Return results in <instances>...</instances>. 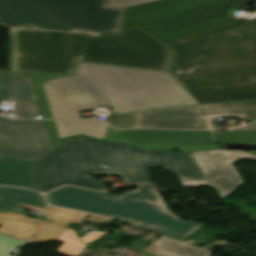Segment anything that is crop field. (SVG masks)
Listing matches in <instances>:
<instances>
[{"label": "crop field", "mask_w": 256, "mask_h": 256, "mask_svg": "<svg viewBox=\"0 0 256 256\" xmlns=\"http://www.w3.org/2000/svg\"><path fill=\"white\" fill-rule=\"evenodd\" d=\"M108 0H0L9 29V72L31 78L33 88L73 75L79 60L169 71L173 52L134 27L120 30L125 8Z\"/></svg>", "instance_id": "8a807250"}, {"label": "crop field", "mask_w": 256, "mask_h": 256, "mask_svg": "<svg viewBox=\"0 0 256 256\" xmlns=\"http://www.w3.org/2000/svg\"><path fill=\"white\" fill-rule=\"evenodd\" d=\"M256 0H162L128 7L139 26L175 53L171 74L199 104L256 99V18L230 9Z\"/></svg>", "instance_id": "ac0d7876"}, {"label": "crop field", "mask_w": 256, "mask_h": 256, "mask_svg": "<svg viewBox=\"0 0 256 256\" xmlns=\"http://www.w3.org/2000/svg\"><path fill=\"white\" fill-rule=\"evenodd\" d=\"M54 118L110 104L116 114L198 104L166 72L81 62L76 75L43 84Z\"/></svg>", "instance_id": "34b2d1b8"}, {"label": "crop field", "mask_w": 256, "mask_h": 256, "mask_svg": "<svg viewBox=\"0 0 256 256\" xmlns=\"http://www.w3.org/2000/svg\"><path fill=\"white\" fill-rule=\"evenodd\" d=\"M107 165L109 170L101 166ZM163 165L177 173L185 187L207 185L190 153L137 149L129 144L109 143L85 136L66 139L60 149L40 162L42 192L69 184L105 191L86 174L109 173L125 179L124 184L149 182L146 167Z\"/></svg>", "instance_id": "412701ff"}, {"label": "crop field", "mask_w": 256, "mask_h": 256, "mask_svg": "<svg viewBox=\"0 0 256 256\" xmlns=\"http://www.w3.org/2000/svg\"><path fill=\"white\" fill-rule=\"evenodd\" d=\"M136 192L121 196L64 186L49 194L50 204L124 218L142 229L183 241L201 224L181 220L167 210L152 184H140Z\"/></svg>", "instance_id": "f4fd0767"}, {"label": "crop field", "mask_w": 256, "mask_h": 256, "mask_svg": "<svg viewBox=\"0 0 256 256\" xmlns=\"http://www.w3.org/2000/svg\"><path fill=\"white\" fill-rule=\"evenodd\" d=\"M134 128L213 129L211 118L236 116L256 120V101L198 105L135 113Z\"/></svg>", "instance_id": "dd49c442"}, {"label": "crop field", "mask_w": 256, "mask_h": 256, "mask_svg": "<svg viewBox=\"0 0 256 256\" xmlns=\"http://www.w3.org/2000/svg\"><path fill=\"white\" fill-rule=\"evenodd\" d=\"M52 150L44 121L0 116V158L34 161L45 158Z\"/></svg>", "instance_id": "e52e79f7"}, {"label": "crop field", "mask_w": 256, "mask_h": 256, "mask_svg": "<svg viewBox=\"0 0 256 256\" xmlns=\"http://www.w3.org/2000/svg\"><path fill=\"white\" fill-rule=\"evenodd\" d=\"M107 141L129 142L138 147L178 149L182 152L220 147L212 140L210 131L124 130L107 136Z\"/></svg>", "instance_id": "d8731c3e"}, {"label": "crop field", "mask_w": 256, "mask_h": 256, "mask_svg": "<svg viewBox=\"0 0 256 256\" xmlns=\"http://www.w3.org/2000/svg\"><path fill=\"white\" fill-rule=\"evenodd\" d=\"M191 155L208 185L219 193L220 198L228 195L242 183L231 162L240 159H256L247 153L223 150L198 151L191 153Z\"/></svg>", "instance_id": "5a996713"}, {"label": "crop field", "mask_w": 256, "mask_h": 256, "mask_svg": "<svg viewBox=\"0 0 256 256\" xmlns=\"http://www.w3.org/2000/svg\"><path fill=\"white\" fill-rule=\"evenodd\" d=\"M0 184L27 187L41 192L39 162L0 160Z\"/></svg>", "instance_id": "3316defc"}, {"label": "crop field", "mask_w": 256, "mask_h": 256, "mask_svg": "<svg viewBox=\"0 0 256 256\" xmlns=\"http://www.w3.org/2000/svg\"><path fill=\"white\" fill-rule=\"evenodd\" d=\"M0 224V234L30 243L48 222L29 219L19 214L4 213L0 214Z\"/></svg>", "instance_id": "28ad6ade"}, {"label": "crop field", "mask_w": 256, "mask_h": 256, "mask_svg": "<svg viewBox=\"0 0 256 256\" xmlns=\"http://www.w3.org/2000/svg\"><path fill=\"white\" fill-rule=\"evenodd\" d=\"M46 203L41 194L12 187H0V212L21 213L24 208L42 211Z\"/></svg>", "instance_id": "d1516ede"}, {"label": "crop field", "mask_w": 256, "mask_h": 256, "mask_svg": "<svg viewBox=\"0 0 256 256\" xmlns=\"http://www.w3.org/2000/svg\"><path fill=\"white\" fill-rule=\"evenodd\" d=\"M60 140L63 137L84 134L105 138L108 126L102 120H54Z\"/></svg>", "instance_id": "22f410ed"}, {"label": "crop field", "mask_w": 256, "mask_h": 256, "mask_svg": "<svg viewBox=\"0 0 256 256\" xmlns=\"http://www.w3.org/2000/svg\"><path fill=\"white\" fill-rule=\"evenodd\" d=\"M0 99L37 100L30 79L0 71Z\"/></svg>", "instance_id": "cbeb9de0"}, {"label": "crop field", "mask_w": 256, "mask_h": 256, "mask_svg": "<svg viewBox=\"0 0 256 256\" xmlns=\"http://www.w3.org/2000/svg\"><path fill=\"white\" fill-rule=\"evenodd\" d=\"M157 250L170 256H210V251L186 243L160 237L156 241Z\"/></svg>", "instance_id": "5142ce71"}, {"label": "crop field", "mask_w": 256, "mask_h": 256, "mask_svg": "<svg viewBox=\"0 0 256 256\" xmlns=\"http://www.w3.org/2000/svg\"><path fill=\"white\" fill-rule=\"evenodd\" d=\"M215 140L222 143H248L256 144V131H236L220 134L219 131H213Z\"/></svg>", "instance_id": "d9b57169"}, {"label": "crop field", "mask_w": 256, "mask_h": 256, "mask_svg": "<svg viewBox=\"0 0 256 256\" xmlns=\"http://www.w3.org/2000/svg\"><path fill=\"white\" fill-rule=\"evenodd\" d=\"M58 240L64 241L65 243L56 252L69 256H76L86 246L69 227L66 228Z\"/></svg>", "instance_id": "733c2abd"}, {"label": "crop field", "mask_w": 256, "mask_h": 256, "mask_svg": "<svg viewBox=\"0 0 256 256\" xmlns=\"http://www.w3.org/2000/svg\"><path fill=\"white\" fill-rule=\"evenodd\" d=\"M16 106V118H30L34 115L41 114L37 101H18Z\"/></svg>", "instance_id": "4a817a6b"}, {"label": "crop field", "mask_w": 256, "mask_h": 256, "mask_svg": "<svg viewBox=\"0 0 256 256\" xmlns=\"http://www.w3.org/2000/svg\"><path fill=\"white\" fill-rule=\"evenodd\" d=\"M44 213L48 214L52 221L70 224L78 212L49 206Z\"/></svg>", "instance_id": "bc2a9ffb"}, {"label": "crop field", "mask_w": 256, "mask_h": 256, "mask_svg": "<svg viewBox=\"0 0 256 256\" xmlns=\"http://www.w3.org/2000/svg\"><path fill=\"white\" fill-rule=\"evenodd\" d=\"M67 226L68 225L51 222L50 227L46 229L35 242L57 240Z\"/></svg>", "instance_id": "214f88e0"}, {"label": "crop field", "mask_w": 256, "mask_h": 256, "mask_svg": "<svg viewBox=\"0 0 256 256\" xmlns=\"http://www.w3.org/2000/svg\"><path fill=\"white\" fill-rule=\"evenodd\" d=\"M28 243L0 235V256H8V254L16 247H22Z\"/></svg>", "instance_id": "92a150f3"}, {"label": "crop field", "mask_w": 256, "mask_h": 256, "mask_svg": "<svg viewBox=\"0 0 256 256\" xmlns=\"http://www.w3.org/2000/svg\"><path fill=\"white\" fill-rule=\"evenodd\" d=\"M133 113L116 115L111 112L109 124L116 128L132 127Z\"/></svg>", "instance_id": "dafd665d"}, {"label": "crop field", "mask_w": 256, "mask_h": 256, "mask_svg": "<svg viewBox=\"0 0 256 256\" xmlns=\"http://www.w3.org/2000/svg\"><path fill=\"white\" fill-rule=\"evenodd\" d=\"M36 94L38 96L39 99V105H40V109L42 112V115L44 118H53L48 102H47V98L43 89V86H40L39 88L35 89Z\"/></svg>", "instance_id": "00972430"}, {"label": "crop field", "mask_w": 256, "mask_h": 256, "mask_svg": "<svg viewBox=\"0 0 256 256\" xmlns=\"http://www.w3.org/2000/svg\"><path fill=\"white\" fill-rule=\"evenodd\" d=\"M158 0H109L108 6L128 7Z\"/></svg>", "instance_id": "a9b5d70f"}, {"label": "crop field", "mask_w": 256, "mask_h": 256, "mask_svg": "<svg viewBox=\"0 0 256 256\" xmlns=\"http://www.w3.org/2000/svg\"><path fill=\"white\" fill-rule=\"evenodd\" d=\"M45 122H46L48 132H49V135H50V138H51L53 149H56V148L59 147L61 141L58 138L56 128H55V125H54V121L51 120V121H45Z\"/></svg>", "instance_id": "4177f3b9"}, {"label": "crop field", "mask_w": 256, "mask_h": 256, "mask_svg": "<svg viewBox=\"0 0 256 256\" xmlns=\"http://www.w3.org/2000/svg\"><path fill=\"white\" fill-rule=\"evenodd\" d=\"M103 235H105L104 233H96V232H92V233H90V234H88V235H86V236H84V237H82V238H80L84 243H90V242H92V241H94V240H96L97 238H99V237H101V236H103Z\"/></svg>", "instance_id": "730fd06b"}, {"label": "crop field", "mask_w": 256, "mask_h": 256, "mask_svg": "<svg viewBox=\"0 0 256 256\" xmlns=\"http://www.w3.org/2000/svg\"><path fill=\"white\" fill-rule=\"evenodd\" d=\"M89 214H85V213H81L79 212L78 215L75 217V219L72 221L71 224H78V223H82L83 220L88 217Z\"/></svg>", "instance_id": "eef30255"}, {"label": "crop field", "mask_w": 256, "mask_h": 256, "mask_svg": "<svg viewBox=\"0 0 256 256\" xmlns=\"http://www.w3.org/2000/svg\"><path fill=\"white\" fill-rule=\"evenodd\" d=\"M90 220H94V221H98V222H104V221H109L111 219L100 217V216H96V215H92L90 217Z\"/></svg>", "instance_id": "ae1a2a85"}, {"label": "crop field", "mask_w": 256, "mask_h": 256, "mask_svg": "<svg viewBox=\"0 0 256 256\" xmlns=\"http://www.w3.org/2000/svg\"><path fill=\"white\" fill-rule=\"evenodd\" d=\"M116 130H114V129H112V128H108V132H107V134H109V133H113V132H115Z\"/></svg>", "instance_id": "d3111659"}, {"label": "crop field", "mask_w": 256, "mask_h": 256, "mask_svg": "<svg viewBox=\"0 0 256 256\" xmlns=\"http://www.w3.org/2000/svg\"><path fill=\"white\" fill-rule=\"evenodd\" d=\"M120 220H124V219L121 218ZM124 221H125V220H124ZM127 222H130V221H127ZM130 223H133V222H130ZM133 224H136V223H133ZM137 225H138V224H137Z\"/></svg>", "instance_id": "750c4746"}, {"label": "crop field", "mask_w": 256, "mask_h": 256, "mask_svg": "<svg viewBox=\"0 0 256 256\" xmlns=\"http://www.w3.org/2000/svg\"><path fill=\"white\" fill-rule=\"evenodd\" d=\"M253 127H254V129L256 130V122H255V125H254Z\"/></svg>", "instance_id": "bd1437ed"}]
</instances>
